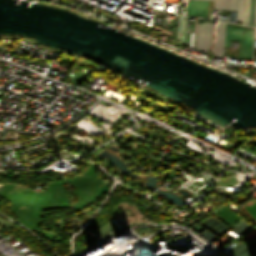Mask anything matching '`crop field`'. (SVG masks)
Masks as SVG:
<instances>
[{"label":"crop field","mask_w":256,"mask_h":256,"mask_svg":"<svg viewBox=\"0 0 256 256\" xmlns=\"http://www.w3.org/2000/svg\"><path fill=\"white\" fill-rule=\"evenodd\" d=\"M253 26H256V0L254 5V19H253Z\"/></svg>","instance_id":"e52e79f7"},{"label":"crop field","mask_w":256,"mask_h":256,"mask_svg":"<svg viewBox=\"0 0 256 256\" xmlns=\"http://www.w3.org/2000/svg\"><path fill=\"white\" fill-rule=\"evenodd\" d=\"M208 3L206 0H188L186 15L206 18Z\"/></svg>","instance_id":"412701ff"},{"label":"crop field","mask_w":256,"mask_h":256,"mask_svg":"<svg viewBox=\"0 0 256 256\" xmlns=\"http://www.w3.org/2000/svg\"><path fill=\"white\" fill-rule=\"evenodd\" d=\"M225 27H226V23H220L217 26V33H216V38H215L214 47H213V55L220 56V57L223 56Z\"/></svg>","instance_id":"f4fd0767"},{"label":"crop field","mask_w":256,"mask_h":256,"mask_svg":"<svg viewBox=\"0 0 256 256\" xmlns=\"http://www.w3.org/2000/svg\"><path fill=\"white\" fill-rule=\"evenodd\" d=\"M213 23H200L198 29L196 49L207 53L211 46ZM204 39H202V38Z\"/></svg>","instance_id":"ac0d7876"},{"label":"crop field","mask_w":256,"mask_h":256,"mask_svg":"<svg viewBox=\"0 0 256 256\" xmlns=\"http://www.w3.org/2000/svg\"><path fill=\"white\" fill-rule=\"evenodd\" d=\"M253 28L227 23L224 47L239 41L237 59H251Z\"/></svg>","instance_id":"8a807250"},{"label":"crop field","mask_w":256,"mask_h":256,"mask_svg":"<svg viewBox=\"0 0 256 256\" xmlns=\"http://www.w3.org/2000/svg\"><path fill=\"white\" fill-rule=\"evenodd\" d=\"M249 15H250V0H248L247 4V18H246V24L249 25Z\"/></svg>","instance_id":"dd49c442"},{"label":"crop field","mask_w":256,"mask_h":256,"mask_svg":"<svg viewBox=\"0 0 256 256\" xmlns=\"http://www.w3.org/2000/svg\"><path fill=\"white\" fill-rule=\"evenodd\" d=\"M245 0H215V10L238 11L237 21L243 23Z\"/></svg>","instance_id":"34b2d1b8"}]
</instances>
